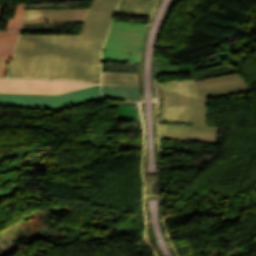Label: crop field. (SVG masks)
<instances>
[{
    "instance_id": "crop-field-1",
    "label": "crop field",
    "mask_w": 256,
    "mask_h": 256,
    "mask_svg": "<svg viewBox=\"0 0 256 256\" xmlns=\"http://www.w3.org/2000/svg\"><path fill=\"white\" fill-rule=\"evenodd\" d=\"M118 2L94 0L80 35H20L10 77L100 83V53Z\"/></svg>"
},
{
    "instance_id": "crop-field-2",
    "label": "crop field",
    "mask_w": 256,
    "mask_h": 256,
    "mask_svg": "<svg viewBox=\"0 0 256 256\" xmlns=\"http://www.w3.org/2000/svg\"><path fill=\"white\" fill-rule=\"evenodd\" d=\"M159 86L165 98L160 120L194 121V127L159 125L160 139L217 143L219 128L207 127V104L196 105L192 79Z\"/></svg>"
},
{
    "instance_id": "crop-field-3",
    "label": "crop field",
    "mask_w": 256,
    "mask_h": 256,
    "mask_svg": "<svg viewBox=\"0 0 256 256\" xmlns=\"http://www.w3.org/2000/svg\"><path fill=\"white\" fill-rule=\"evenodd\" d=\"M100 100V85L55 95L0 91V107L62 109Z\"/></svg>"
},
{
    "instance_id": "crop-field-4",
    "label": "crop field",
    "mask_w": 256,
    "mask_h": 256,
    "mask_svg": "<svg viewBox=\"0 0 256 256\" xmlns=\"http://www.w3.org/2000/svg\"><path fill=\"white\" fill-rule=\"evenodd\" d=\"M146 28L144 24L113 22L102 59L139 61Z\"/></svg>"
},
{
    "instance_id": "crop-field-5",
    "label": "crop field",
    "mask_w": 256,
    "mask_h": 256,
    "mask_svg": "<svg viewBox=\"0 0 256 256\" xmlns=\"http://www.w3.org/2000/svg\"><path fill=\"white\" fill-rule=\"evenodd\" d=\"M91 85L93 84H85L65 80H30L0 78V90L41 94L61 93Z\"/></svg>"
},
{
    "instance_id": "crop-field-6",
    "label": "crop field",
    "mask_w": 256,
    "mask_h": 256,
    "mask_svg": "<svg viewBox=\"0 0 256 256\" xmlns=\"http://www.w3.org/2000/svg\"><path fill=\"white\" fill-rule=\"evenodd\" d=\"M198 103H207L206 95L248 88L237 74L195 82Z\"/></svg>"
},
{
    "instance_id": "crop-field-7",
    "label": "crop field",
    "mask_w": 256,
    "mask_h": 256,
    "mask_svg": "<svg viewBox=\"0 0 256 256\" xmlns=\"http://www.w3.org/2000/svg\"><path fill=\"white\" fill-rule=\"evenodd\" d=\"M89 9L26 10L25 24L85 22Z\"/></svg>"
},
{
    "instance_id": "crop-field-8",
    "label": "crop field",
    "mask_w": 256,
    "mask_h": 256,
    "mask_svg": "<svg viewBox=\"0 0 256 256\" xmlns=\"http://www.w3.org/2000/svg\"><path fill=\"white\" fill-rule=\"evenodd\" d=\"M156 0H121L116 14L150 17Z\"/></svg>"
},
{
    "instance_id": "crop-field-9",
    "label": "crop field",
    "mask_w": 256,
    "mask_h": 256,
    "mask_svg": "<svg viewBox=\"0 0 256 256\" xmlns=\"http://www.w3.org/2000/svg\"><path fill=\"white\" fill-rule=\"evenodd\" d=\"M102 85L139 86L137 74L101 72Z\"/></svg>"
},
{
    "instance_id": "crop-field-10",
    "label": "crop field",
    "mask_w": 256,
    "mask_h": 256,
    "mask_svg": "<svg viewBox=\"0 0 256 256\" xmlns=\"http://www.w3.org/2000/svg\"><path fill=\"white\" fill-rule=\"evenodd\" d=\"M102 98L140 99L139 87L102 86Z\"/></svg>"
},
{
    "instance_id": "crop-field-11",
    "label": "crop field",
    "mask_w": 256,
    "mask_h": 256,
    "mask_svg": "<svg viewBox=\"0 0 256 256\" xmlns=\"http://www.w3.org/2000/svg\"><path fill=\"white\" fill-rule=\"evenodd\" d=\"M19 33L16 31L0 32V57H4L0 77L4 75L7 57L12 55Z\"/></svg>"
},
{
    "instance_id": "crop-field-12",
    "label": "crop field",
    "mask_w": 256,
    "mask_h": 256,
    "mask_svg": "<svg viewBox=\"0 0 256 256\" xmlns=\"http://www.w3.org/2000/svg\"><path fill=\"white\" fill-rule=\"evenodd\" d=\"M221 62L210 63L200 66H189V65H180V66H171V67H158L156 76L160 75H170V74H181V73H189L191 70L204 68L212 65H219Z\"/></svg>"
},
{
    "instance_id": "crop-field-13",
    "label": "crop field",
    "mask_w": 256,
    "mask_h": 256,
    "mask_svg": "<svg viewBox=\"0 0 256 256\" xmlns=\"http://www.w3.org/2000/svg\"><path fill=\"white\" fill-rule=\"evenodd\" d=\"M119 113L115 120L140 121L138 110L132 105H118Z\"/></svg>"
},
{
    "instance_id": "crop-field-14",
    "label": "crop field",
    "mask_w": 256,
    "mask_h": 256,
    "mask_svg": "<svg viewBox=\"0 0 256 256\" xmlns=\"http://www.w3.org/2000/svg\"><path fill=\"white\" fill-rule=\"evenodd\" d=\"M25 3L18 4L14 19H9L6 30H21L23 24V15Z\"/></svg>"
},
{
    "instance_id": "crop-field-15",
    "label": "crop field",
    "mask_w": 256,
    "mask_h": 256,
    "mask_svg": "<svg viewBox=\"0 0 256 256\" xmlns=\"http://www.w3.org/2000/svg\"><path fill=\"white\" fill-rule=\"evenodd\" d=\"M2 59H3V58H0V67H1Z\"/></svg>"
},
{
    "instance_id": "crop-field-16",
    "label": "crop field",
    "mask_w": 256,
    "mask_h": 256,
    "mask_svg": "<svg viewBox=\"0 0 256 256\" xmlns=\"http://www.w3.org/2000/svg\"><path fill=\"white\" fill-rule=\"evenodd\" d=\"M2 8H3V6H0V13H1V11H2Z\"/></svg>"
}]
</instances>
